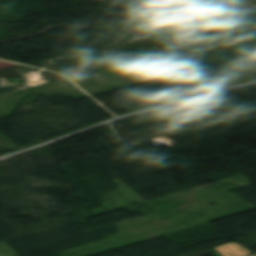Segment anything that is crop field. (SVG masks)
I'll list each match as a JSON object with an SVG mask.
<instances>
[{
    "mask_svg": "<svg viewBox=\"0 0 256 256\" xmlns=\"http://www.w3.org/2000/svg\"><path fill=\"white\" fill-rule=\"evenodd\" d=\"M214 250H216L217 252H219L220 254H222L223 256H246L249 254H252L251 252H249L248 250H246L245 248L241 247L240 245H238L237 243L231 241L229 243L223 244L221 246H218L216 248H213ZM210 253H212L213 251L210 249L208 250ZM214 256H221L219 254H217L215 252L212 253Z\"/></svg>",
    "mask_w": 256,
    "mask_h": 256,
    "instance_id": "8a807250",
    "label": "crop field"
}]
</instances>
